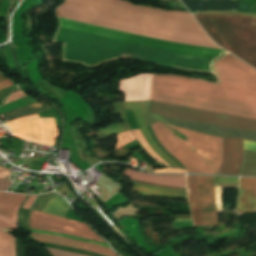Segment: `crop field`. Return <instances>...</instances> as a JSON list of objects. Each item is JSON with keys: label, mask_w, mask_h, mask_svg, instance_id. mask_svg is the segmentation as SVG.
I'll use <instances>...</instances> for the list:
<instances>
[{"label": "crop field", "mask_w": 256, "mask_h": 256, "mask_svg": "<svg viewBox=\"0 0 256 256\" xmlns=\"http://www.w3.org/2000/svg\"><path fill=\"white\" fill-rule=\"evenodd\" d=\"M6 79V76L4 75V73L0 74V81Z\"/></svg>", "instance_id": "e1f06a70"}, {"label": "crop field", "mask_w": 256, "mask_h": 256, "mask_svg": "<svg viewBox=\"0 0 256 256\" xmlns=\"http://www.w3.org/2000/svg\"><path fill=\"white\" fill-rule=\"evenodd\" d=\"M150 113L161 116L256 131V120L214 113L209 111H203L198 109L186 108L181 106H175L170 104H164L159 102L151 101Z\"/></svg>", "instance_id": "f4fd0767"}, {"label": "crop field", "mask_w": 256, "mask_h": 256, "mask_svg": "<svg viewBox=\"0 0 256 256\" xmlns=\"http://www.w3.org/2000/svg\"><path fill=\"white\" fill-rule=\"evenodd\" d=\"M30 234H33V233H30ZM36 235H41V234H36ZM43 236H48V235H43ZM49 237H54V236H49ZM55 238H61V237H55ZM61 239H67V240H71V241H74V242L84 243V242H80V241L73 240V239H68V238H61ZM85 244H87V243H85ZM89 245H91V244H89ZM93 246H97V245H93ZM97 247H100V246H97ZM100 248H103V247H100ZM103 249L112 251V250L107 249V248H103Z\"/></svg>", "instance_id": "1d83c4d3"}, {"label": "crop field", "mask_w": 256, "mask_h": 256, "mask_svg": "<svg viewBox=\"0 0 256 256\" xmlns=\"http://www.w3.org/2000/svg\"><path fill=\"white\" fill-rule=\"evenodd\" d=\"M36 198H37V196H29V198L25 202L23 208L29 209V207L32 205V203L35 201Z\"/></svg>", "instance_id": "750c4746"}, {"label": "crop field", "mask_w": 256, "mask_h": 256, "mask_svg": "<svg viewBox=\"0 0 256 256\" xmlns=\"http://www.w3.org/2000/svg\"><path fill=\"white\" fill-rule=\"evenodd\" d=\"M134 189L140 195L187 199L186 191L152 187L134 183Z\"/></svg>", "instance_id": "5142ce71"}, {"label": "crop field", "mask_w": 256, "mask_h": 256, "mask_svg": "<svg viewBox=\"0 0 256 256\" xmlns=\"http://www.w3.org/2000/svg\"><path fill=\"white\" fill-rule=\"evenodd\" d=\"M153 172H178V173H186L185 170L182 169H155Z\"/></svg>", "instance_id": "d3111659"}, {"label": "crop field", "mask_w": 256, "mask_h": 256, "mask_svg": "<svg viewBox=\"0 0 256 256\" xmlns=\"http://www.w3.org/2000/svg\"><path fill=\"white\" fill-rule=\"evenodd\" d=\"M10 173L9 169L0 167V191H5L10 185V179L8 178Z\"/></svg>", "instance_id": "dafd665d"}, {"label": "crop field", "mask_w": 256, "mask_h": 256, "mask_svg": "<svg viewBox=\"0 0 256 256\" xmlns=\"http://www.w3.org/2000/svg\"><path fill=\"white\" fill-rule=\"evenodd\" d=\"M30 228L65 233V234L74 235V236L105 243L103 239L95 238V237H99L95 233L87 232V231H91V229L84 223H80L72 220H66V219L46 215V214L35 212V211L31 212ZM75 228L83 229L87 231L78 230Z\"/></svg>", "instance_id": "5a996713"}, {"label": "crop field", "mask_w": 256, "mask_h": 256, "mask_svg": "<svg viewBox=\"0 0 256 256\" xmlns=\"http://www.w3.org/2000/svg\"><path fill=\"white\" fill-rule=\"evenodd\" d=\"M68 209L69 207L64 200L55 194L42 212L64 218Z\"/></svg>", "instance_id": "4a817a6b"}, {"label": "crop field", "mask_w": 256, "mask_h": 256, "mask_svg": "<svg viewBox=\"0 0 256 256\" xmlns=\"http://www.w3.org/2000/svg\"><path fill=\"white\" fill-rule=\"evenodd\" d=\"M12 85L13 84L8 79H6V80L0 82V90H2L4 88H7V87H10Z\"/></svg>", "instance_id": "bd1437ed"}, {"label": "crop field", "mask_w": 256, "mask_h": 256, "mask_svg": "<svg viewBox=\"0 0 256 256\" xmlns=\"http://www.w3.org/2000/svg\"><path fill=\"white\" fill-rule=\"evenodd\" d=\"M136 139L132 132H126L117 135V143L115 150L119 149L120 147L126 145L127 143L131 142L132 140Z\"/></svg>", "instance_id": "92a150f3"}, {"label": "crop field", "mask_w": 256, "mask_h": 256, "mask_svg": "<svg viewBox=\"0 0 256 256\" xmlns=\"http://www.w3.org/2000/svg\"><path fill=\"white\" fill-rule=\"evenodd\" d=\"M56 15L160 39L220 48L206 36L190 13L186 12L158 10L133 5L124 0H66L57 8ZM57 19L60 26L218 58L228 53L223 49L181 44L58 17ZM60 26L57 27L52 41L63 43L61 61L83 64L84 67H98L104 62L133 58L191 72L214 74L213 63L218 60Z\"/></svg>", "instance_id": "8a807250"}, {"label": "crop field", "mask_w": 256, "mask_h": 256, "mask_svg": "<svg viewBox=\"0 0 256 256\" xmlns=\"http://www.w3.org/2000/svg\"><path fill=\"white\" fill-rule=\"evenodd\" d=\"M26 195L0 192V228L16 230L17 210Z\"/></svg>", "instance_id": "d1516ede"}, {"label": "crop field", "mask_w": 256, "mask_h": 256, "mask_svg": "<svg viewBox=\"0 0 256 256\" xmlns=\"http://www.w3.org/2000/svg\"><path fill=\"white\" fill-rule=\"evenodd\" d=\"M0 256H15V238L1 230Z\"/></svg>", "instance_id": "bc2a9ffb"}, {"label": "crop field", "mask_w": 256, "mask_h": 256, "mask_svg": "<svg viewBox=\"0 0 256 256\" xmlns=\"http://www.w3.org/2000/svg\"><path fill=\"white\" fill-rule=\"evenodd\" d=\"M134 181V180H132ZM135 182H140V181H135ZM141 183H146V182H141ZM146 184H151V185H157V186H162V185H158V184H152V183H146ZM163 187H167V186H163ZM170 188H174V187H170ZM177 189H183V188H177ZM186 190V189H183Z\"/></svg>", "instance_id": "5866460e"}, {"label": "crop field", "mask_w": 256, "mask_h": 256, "mask_svg": "<svg viewBox=\"0 0 256 256\" xmlns=\"http://www.w3.org/2000/svg\"><path fill=\"white\" fill-rule=\"evenodd\" d=\"M242 161V139L223 138V161L218 174L238 175Z\"/></svg>", "instance_id": "3316defc"}, {"label": "crop field", "mask_w": 256, "mask_h": 256, "mask_svg": "<svg viewBox=\"0 0 256 256\" xmlns=\"http://www.w3.org/2000/svg\"><path fill=\"white\" fill-rule=\"evenodd\" d=\"M54 195V193L50 194L49 197L45 200V202L42 204L41 208L39 209V212L44 208V206L47 204V202L50 200V198Z\"/></svg>", "instance_id": "d32e631a"}, {"label": "crop field", "mask_w": 256, "mask_h": 256, "mask_svg": "<svg viewBox=\"0 0 256 256\" xmlns=\"http://www.w3.org/2000/svg\"><path fill=\"white\" fill-rule=\"evenodd\" d=\"M14 136L54 146L57 127L54 118H39L38 114L5 123Z\"/></svg>", "instance_id": "d8731c3e"}, {"label": "crop field", "mask_w": 256, "mask_h": 256, "mask_svg": "<svg viewBox=\"0 0 256 256\" xmlns=\"http://www.w3.org/2000/svg\"><path fill=\"white\" fill-rule=\"evenodd\" d=\"M30 231L35 232V233H41V234H48V235H54V236L73 238V239H77V240L84 241V242H87V243L97 244V245L109 248V246L105 245V244H101V243H97V242H93V241H89V240H85V239H81V238H77V237H73V236H69V235H65V234H56V233H50V232H44V231H38V230H32V229H30Z\"/></svg>", "instance_id": "a9b5d70f"}, {"label": "crop field", "mask_w": 256, "mask_h": 256, "mask_svg": "<svg viewBox=\"0 0 256 256\" xmlns=\"http://www.w3.org/2000/svg\"><path fill=\"white\" fill-rule=\"evenodd\" d=\"M188 195L194 225H219L214 201L213 177L199 176L200 202L203 216H201L199 202L198 176H187Z\"/></svg>", "instance_id": "dd49c442"}, {"label": "crop field", "mask_w": 256, "mask_h": 256, "mask_svg": "<svg viewBox=\"0 0 256 256\" xmlns=\"http://www.w3.org/2000/svg\"><path fill=\"white\" fill-rule=\"evenodd\" d=\"M152 77L144 74L122 80L120 91L125 92V101L150 100Z\"/></svg>", "instance_id": "28ad6ade"}, {"label": "crop field", "mask_w": 256, "mask_h": 256, "mask_svg": "<svg viewBox=\"0 0 256 256\" xmlns=\"http://www.w3.org/2000/svg\"><path fill=\"white\" fill-rule=\"evenodd\" d=\"M150 101H138V102H116L115 108L116 113H121L123 123L115 124L110 127H105L98 132L104 135H114L118 133H122L125 131H129L130 128L128 127L125 111L124 109H133L137 122L140 126V129L147 140L148 144L151 146V148L162 158L164 159L170 166L173 167H179L174 161H172L168 156H166L160 148L157 147L156 143L150 136L146 126L151 125L153 123H156L158 121H162L164 123H167L163 119H161L157 115L149 114L148 108H149ZM169 124V123H167ZM180 168V167H179Z\"/></svg>", "instance_id": "e52e79f7"}, {"label": "crop field", "mask_w": 256, "mask_h": 256, "mask_svg": "<svg viewBox=\"0 0 256 256\" xmlns=\"http://www.w3.org/2000/svg\"><path fill=\"white\" fill-rule=\"evenodd\" d=\"M239 175H256V152L244 150V161Z\"/></svg>", "instance_id": "214f88e0"}, {"label": "crop field", "mask_w": 256, "mask_h": 256, "mask_svg": "<svg viewBox=\"0 0 256 256\" xmlns=\"http://www.w3.org/2000/svg\"><path fill=\"white\" fill-rule=\"evenodd\" d=\"M237 14H241V15H245V16H250V17H255L256 18V12H253V13L238 12Z\"/></svg>", "instance_id": "120bbe31"}, {"label": "crop field", "mask_w": 256, "mask_h": 256, "mask_svg": "<svg viewBox=\"0 0 256 256\" xmlns=\"http://www.w3.org/2000/svg\"><path fill=\"white\" fill-rule=\"evenodd\" d=\"M126 176L141 181L153 182L167 186L183 187L186 188L185 176L175 175H147L135 172L131 169L123 170Z\"/></svg>", "instance_id": "cbeb9de0"}, {"label": "crop field", "mask_w": 256, "mask_h": 256, "mask_svg": "<svg viewBox=\"0 0 256 256\" xmlns=\"http://www.w3.org/2000/svg\"><path fill=\"white\" fill-rule=\"evenodd\" d=\"M42 196V195H41ZM41 196H38V198L36 199V201L34 202V204L31 206V210H33V208H34V206H35V204L37 203V201L41 198Z\"/></svg>", "instance_id": "028f5c9d"}, {"label": "crop field", "mask_w": 256, "mask_h": 256, "mask_svg": "<svg viewBox=\"0 0 256 256\" xmlns=\"http://www.w3.org/2000/svg\"><path fill=\"white\" fill-rule=\"evenodd\" d=\"M215 186H238V178L214 177Z\"/></svg>", "instance_id": "00972430"}, {"label": "crop field", "mask_w": 256, "mask_h": 256, "mask_svg": "<svg viewBox=\"0 0 256 256\" xmlns=\"http://www.w3.org/2000/svg\"><path fill=\"white\" fill-rule=\"evenodd\" d=\"M32 236L35 240H38V241L61 244V245H65V246H69V247H73V248H77V249H82V250H86V251H90V252H94V253H98V254H102V255H106V256H116L112 252H109V251H106V250H103V249H100L97 247L89 246V245L78 244V243H74L71 241L60 240V239L49 238V237L34 236V235H32Z\"/></svg>", "instance_id": "d9b57169"}, {"label": "crop field", "mask_w": 256, "mask_h": 256, "mask_svg": "<svg viewBox=\"0 0 256 256\" xmlns=\"http://www.w3.org/2000/svg\"><path fill=\"white\" fill-rule=\"evenodd\" d=\"M136 131H137L138 135L140 136V138L143 140V142L146 144V146L149 148V150H150L154 155H156L155 152H154V151L148 146V144L146 143V141H145V139H144V137H143V135H142L140 129H136ZM136 131L133 130V133L136 135V137L138 138V140H139L140 143L142 144L143 148H144L151 156H153L157 161H159V160L147 149V147L144 145V143H143V142L141 141V139L138 137ZM156 156H157V155H156ZM157 157H158L166 166H169V165H167L159 156H157Z\"/></svg>", "instance_id": "4177f3b9"}, {"label": "crop field", "mask_w": 256, "mask_h": 256, "mask_svg": "<svg viewBox=\"0 0 256 256\" xmlns=\"http://www.w3.org/2000/svg\"><path fill=\"white\" fill-rule=\"evenodd\" d=\"M221 47L256 68V19L239 15H193Z\"/></svg>", "instance_id": "412701ff"}, {"label": "crop field", "mask_w": 256, "mask_h": 256, "mask_svg": "<svg viewBox=\"0 0 256 256\" xmlns=\"http://www.w3.org/2000/svg\"><path fill=\"white\" fill-rule=\"evenodd\" d=\"M256 211V178H241L239 185L238 212Z\"/></svg>", "instance_id": "22f410ed"}, {"label": "crop field", "mask_w": 256, "mask_h": 256, "mask_svg": "<svg viewBox=\"0 0 256 256\" xmlns=\"http://www.w3.org/2000/svg\"><path fill=\"white\" fill-rule=\"evenodd\" d=\"M161 145L188 173L217 174L222 160V138L177 128L164 123L151 126Z\"/></svg>", "instance_id": "34b2d1b8"}, {"label": "crop field", "mask_w": 256, "mask_h": 256, "mask_svg": "<svg viewBox=\"0 0 256 256\" xmlns=\"http://www.w3.org/2000/svg\"><path fill=\"white\" fill-rule=\"evenodd\" d=\"M47 109H50V105L46 104L43 101H40V102L33 103V104H30V105L22 107V108H18V109L6 112L2 115L9 121L14 118H18L20 116H25V115L32 114V113L43 112Z\"/></svg>", "instance_id": "733c2abd"}, {"label": "crop field", "mask_w": 256, "mask_h": 256, "mask_svg": "<svg viewBox=\"0 0 256 256\" xmlns=\"http://www.w3.org/2000/svg\"><path fill=\"white\" fill-rule=\"evenodd\" d=\"M23 96H26V94H24L22 91L17 92V93H14V94H11V95L9 96V99H8V101H7L6 103H9V102H11V101H14V100H16V99H18V98H21V97H23ZM4 104H5V103H4Z\"/></svg>", "instance_id": "ae1a2a85"}, {"label": "crop field", "mask_w": 256, "mask_h": 256, "mask_svg": "<svg viewBox=\"0 0 256 256\" xmlns=\"http://www.w3.org/2000/svg\"><path fill=\"white\" fill-rule=\"evenodd\" d=\"M243 149L250 150V151H256V142H250L243 140Z\"/></svg>", "instance_id": "eef30255"}, {"label": "crop field", "mask_w": 256, "mask_h": 256, "mask_svg": "<svg viewBox=\"0 0 256 256\" xmlns=\"http://www.w3.org/2000/svg\"><path fill=\"white\" fill-rule=\"evenodd\" d=\"M215 70L219 85L154 75L151 100L256 119V71L230 54Z\"/></svg>", "instance_id": "ac0d7876"}, {"label": "crop field", "mask_w": 256, "mask_h": 256, "mask_svg": "<svg viewBox=\"0 0 256 256\" xmlns=\"http://www.w3.org/2000/svg\"><path fill=\"white\" fill-rule=\"evenodd\" d=\"M46 249L51 253L52 256H85V255H80V254L55 250V249H49V248H46Z\"/></svg>", "instance_id": "730fd06b"}]
</instances>
